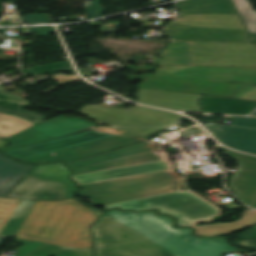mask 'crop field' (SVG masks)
Returning a JSON list of instances; mask_svg holds the SVG:
<instances>
[{
  "instance_id": "obj_1",
  "label": "crop field",
  "mask_w": 256,
  "mask_h": 256,
  "mask_svg": "<svg viewBox=\"0 0 256 256\" xmlns=\"http://www.w3.org/2000/svg\"><path fill=\"white\" fill-rule=\"evenodd\" d=\"M103 213L76 199L37 201L15 237L50 244L88 248L93 246L89 227Z\"/></svg>"
},
{
  "instance_id": "obj_2",
  "label": "crop field",
  "mask_w": 256,
  "mask_h": 256,
  "mask_svg": "<svg viewBox=\"0 0 256 256\" xmlns=\"http://www.w3.org/2000/svg\"><path fill=\"white\" fill-rule=\"evenodd\" d=\"M177 6L179 21L162 28L171 40L248 43L246 29L230 0H188Z\"/></svg>"
},
{
  "instance_id": "obj_3",
  "label": "crop field",
  "mask_w": 256,
  "mask_h": 256,
  "mask_svg": "<svg viewBox=\"0 0 256 256\" xmlns=\"http://www.w3.org/2000/svg\"><path fill=\"white\" fill-rule=\"evenodd\" d=\"M247 84H256V67L160 65L139 88L230 97Z\"/></svg>"
},
{
  "instance_id": "obj_4",
  "label": "crop field",
  "mask_w": 256,
  "mask_h": 256,
  "mask_svg": "<svg viewBox=\"0 0 256 256\" xmlns=\"http://www.w3.org/2000/svg\"><path fill=\"white\" fill-rule=\"evenodd\" d=\"M118 132H115V131ZM150 137L121 129H91L67 137L6 152L24 162H67L120 148Z\"/></svg>"
},
{
  "instance_id": "obj_5",
  "label": "crop field",
  "mask_w": 256,
  "mask_h": 256,
  "mask_svg": "<svg viewBox=\"0 0 256 256\" xmlns=\"http://www.w3.org/2000/svg\"><path fill=\"white\" fill-rule=\"evenodd\" d=\"M67 165V164H66ZM72 179L79 185L170 169L156 146L143 142L134 146L68 163Z\"/></svg>"
},
{
  "instance_id": "obj_6",
  "label": "crop field",
  "mask_w": 256,
  "mask_h": 256,
  "mask_svg": "<svg viewBox=\"0 0 256 256\" xmlns=\"http://www.w3.org/2000/svg\"><path fill=\"white\" fill-rule=\"evenodd\" d=\"M161 64L256 66V44L171 41Z\"/></svg>"
},
{
  "instance_id": "obj_7",
  "label": "crop field",
  "mask_w": 256,
  "mask_h": 256,
  "mask_svg": "<svg viewBox=\"0 0 256 256\" xmlns=\"http://www.w3.org/2000/svg\"><path fill=\"white\" fill-rule=\"evenodd\" d=\"M77 195L93 199L91 204H112L176 192L179 179L171 170L124 179L82 185Z\"/></svg>"
},
{
  "instance_id": "obj_8",
  "label": "crop field",
  "mask_w": 256,
  "mask_h": 256,
  "mask_svg": "<svg viewBox=\"0 0 256 256\" xmlns=\"http://www.w3.org/2000/svg\"><path fill=\"white\" fill-rule=\"evenodd\" d=\"M92 229L96 256H174L107 214Z\"/></svg>"
},
{
  "instance_id": "obj_9",
  "label": "crop field",
  "mask_w": 256,
  "mask_h": 256,
  "mask_svg": "<svg viewBox=\"0 0 256 256\" xmlns=\"http://www.w3.org/2000/svg\"><path fill=\"white\" fill-rule=\"evenodd\" d=\"M105 207L107 209L121 207L122 210L159 208L161 213L177 217L179 225L187 226H194L197 222H207L213 220V216L221 215L220 208L191 190L112 204Z\"/></svg>"
},
{
  "instance_id": "obj_10",
  "label": "crop field",
  "mask_w": 256,
  "mask_h": 256,
  "mask_svg": "<svg viewBox=\"0 0 256 256\" xmlns=\"http://www.w3.org/2000/svg\"><path fill=\"white\" fill-rule=\"evenodd\" d=\"M105 213L155 241L176 256H195L192 229L172 228L173 221L168 216H157L154 212L133 213L119 210Z\"/></svg>"
},
{
  "instance_id": "obj_11",
  "label": "crop field",
  "mask_w": 256,
  "mask_h": 256,
  "mask_svg": "<svg viewBox=\"0 0 256 256\" xmlns=\"http://www.w3.org/2000/svg\"><path fill=\"white\" fill-rule=\"evenodd\" d=\"M81 113L103 123L148 135L163 128L177 126L181 115L143 106L121 109L104 108L102 105H87Z\"/></svg>"
},
{
  "instance_id": "obj_12",
  "label": "crop field",
  "mask_w": 256,
  "mask_h": 256,
  "mask_svg": "<svg viewBox=\"0 0 256 256\" xmlns=\"http://www.w3.org/2000/svg\"><path fill=\"white\" fill-rule=\"evenodd\" d=\"M70 171L62 164L37 166L6 197L29 200H61L71 198L78 190L68 179Z\"/></svg>"
},
{
  "instance_id": "obj_13",
  "label": "crop field",
  "mask_w": 256,
  "mask_h": 256,
  "mask_svg": "<svg viewBox=\"0 0 256 256\" xmlns=\"http://www.w3.org/2000/svg\"><path fill=\"white\" fill-rule=\"evenodd\" d=\"M0 87V137L6 138L38 124L47 117L24 110L30 102Z\"/></svg>"
},
{
  "instance_id": "obj_14",
  "label": "crop field",
  "mask_w": 256,
  "mask_h": 256,
  "mask_svg": "<svg viewBox=\"0 0 256 256\" xmlns=\"http://www.w3.org/2000/svg\"><path fill=\"white\" fill-rule=\"evenodd\" d=\"M95 127V123L80 118H66L63 116L42 122L28 130H25L11 138L6 139L13 145L2 150H9L80 130Z\"/></svg>"
},
{
  "instance_id": "obj_15",
  "label": "crop field",
  "mask_w": 256,
  "mask_h": 256,
  "mask_svg": "<svg viewBox=\"0 0 256 256\" xmlns=\"http://www.w3.org/2000/svg\"><path fill=\"white\" fill-rule=\"evenodd\" d=\"M226 151V155L238 158L240 167L231 179V187L237 196L252 207L256 203V157L237 153L223 147H218Z\"/></svg>"
},
{
  "instance_id": "obj_16",
  "label": "crop field",
  "mask_w": 256,
  "mask_h": 256,
  "mask_svg": "<svg viewBox=\"0 0 256 256\" xmlns=\"http://www.w3.org/2000/svg\"><path fill=\"white\" fill-rule=\"evenodd\" d=\"M223 129L220 142L256 154V118L234 117L230 126L223 125Z\"/></svg>"
},
{
  "instance_id": "obj_17",
  "label": "crop field",
  "mask_w": 256,
  "mask_h": 256,
  "mask_svg": "<svg viewBox=\"0 0 256 256\" xmlns=\"http://www.w3.org/2000/svg\"><path fill=\"white\" fill-rule=\"evenodd\" d=\"M199 95L139 89L137 102L174 110L201 112L196 100Z\"/></svg>"
},
{
  "instance_id": "obj_18",
  "label": "crop field",
  "mask_w": 256,
  "mask_h": 256,
  "mask_svg": "<svg viewBox=\"0 0 256 256\" xmlns=\"http://www.w3.org/2000/svg\"><path fill=\"white\" fill-rule=\"evenodd\" d=\"M205 112L248 115L256 109V101L206 96L200 100Z\"/></svg>"
},
{
  "instance_id": "obj_19",
  "label": "crop field",
  "mask_w": 256,
  "mask_h": 256,
  "mask_svg": "<svg viewBox=\"0 0 256 256\" xmlns=\"http://www.w3.org/2000/svg\"><path fill=\"white\" fill-rule=\"evenodd\" d=\"M32 167L21 165L0 154V196H5Z\"/></svg>"
},
{
  "instance_id": "obj_20",
  "label": "crop field",
  "mask_w": 256,
  "mask_h": 256,
  "mask_svg": "<svg viewBox=\"0 0 256 256\" xmlns=\"http://www.w3.org/2000/svg\"><path fill=\"white\" fill-rule=\"evenodd\" d=\"M256 224V211L247 209L242 215L241 220L231 224L220 223L208 226H197L196 234L214 236L216 234L228 235Z\"/></svg>"
},
{
  "instance_id": "obj_21",
  "label": "crop field",
  "mask_w": 256,
  "mask_h": 256,
  "mask_svg": "<svg viewBox=\"0 0 256 256\" xmlns=\"http://www.w3.org/2000/svg\"><path fill=\"white\" fill-rule=\"evenodd\" d=\"M196 256H223V254L228 252L241 251L232 247L226 239L223 237L216 238H196Z\"/></svg>"
},
{
  "instance_id": "obj_22",
  "label": "crop field",
  "mask_w": 256,
  "mask_h": 256,
  "mask_svg": "<svg viewBox=\"0 0 256 256\" xmlns=\"http://www.w3.org/2000/svg\"><path fill=\"white\" fill-rule=\"evenodd\" d=\"M36 201L22 200L14 215L1 233L4 236H15L22 223L31 212ZM26 221V220H25ZM24 224V223H23ZM17 235V234H16Z\"/></svg>"
},
{
  "instance_id": "obj_23",
  "label": "crop field",
  "mask_w": 256,
  "mask_h": 256,
  "mask_svg": "<svg viewBox=\"0 0 256 256\" xmlns=\"http://www.w3.org/2000/svg\"><path fill=\"white\" fill-rule=\"evenodd\" d=\"M29 256H94L93 247L74 249L47 244Z\"/></svg>"
},
{
  "instance_id": "obj_24",
  "label": "crop field",
  "mask_w": 256,
  "mask_h": 256,
  "mask_svg": "<svg viewBox=\"0 0 256 256\" xmlns=\"http://www.w3.org/2000/svg\"><path fill=\"white\" fill-rule=\"evenodd\" d=\"M249 33H256V11L252 9L248 0H233Z\"/></svg>"
},
{
  "instance_id": "obj_25",
  "label": "crop field",
  "mask_w": 256,
  "mask_h": 256,
  "mask_svg": "<svg viewBox=\"0 0 256 256\" xmlns=\"http://www.w3.org/2000/svg\"><path fill=\"white\" fill-rule=\"evenodd\" d=\"M62 70L75 73L74 69L72 68V64L70 63L69 60L53 63L49 65H44V66L22 69V71L27 74H40V75H45V74L62 71Z\"/></svg>"
},
{
  "instance_id": "obj_26",
  "label": "crop field",
  "mask_w": 256,
  "mask_h": 256,
  "mask_svg": "<svg viewBox=\"0 0 256 256\" xmlns=\"http://www.w3.org/2000/svg\"><path fill=\"white\" fill-rule=\"evenodd\" d=\"M20 202L19 199L0 198V233Z\"/></svg>"
},
{
  "instance_id": "obj_27",
  "label": "crop field",
  "mask_w": 256,
  "mask_h": 256,
  "mask_svg": "<svg viewBox=\"0 0 256 256\" xmlns=\"http://www.w3.org/2000/svg\"><path fill=\"white\" fill-rule=\"evenodd\" d=\"M17 242L24 245L17 249L18 254L16 256H27L46 244L37 241L29 242L23 240H17Z\"/></svg>"
},
{
  "instance_id": "obj_28",
  "label": "crop field",
  "mask_w": 256,
  "mask_h": 256,
  "mask_svg": "<svg viewBox=\"0 0 256 256\" xmlns=\"http://www.w3.org/2000/svg\"><path fill=\"white\" fill-rule=\"evenodd\" d=\"M52 79H54L59 84H57V85H55V86H53V87H51L47 90L40 91L41 93H43V94L49 93V92H52V91L56 90L57 87L65 84V83L76 82V81L80 80V78L76 77V76H60V77H52Z\"/></svg>"
},
{
  "instance_id": "obj_29",
  "label": "crop field",
  "mask_w": 256,
  "mask_h": 256,
  "mask_svg": "<svg viewBox=\"0 0 256 256\" xmlns=\"http://www.w3.org/2000/svg\"><path fill=\"white\" fill-rule=\"evenodd\" d=\"M233 98L256 100V86H248Z\"/></svg>"
},
{
  "instance_id": "obj_30",
  "label": "crop field",
  "mask_w": 256,
  "mask_h": 256,
  "mask_svg": "<svg viewBox=\"0 0 256 256\" xmlns=\"http://www.w3.org/2000/svg\"><path fill=\"white\" fill-rule=\"evenodd\" d=\"M102 1L103 0H94V4L92 5L91 9H87V13L91 14L90 19L104 15L105 10L100 5Z\"/></svg>"
},
{
  "instance_id": "obj_31",
  "label": "crop field",
  "mask_w": 256,
  "mask_h": 256,
  "mask_svg": "<svg viewBox=\"0 0 256 256\" xmlns=\"http://www.w3.org/2000/svg\"><path fill=\"white\" fill-rule=\"evenodd\" d=\"M22 19H23V21L26 20V22H25L26 24L50 22L49 17H48L47 14L26 15ZM32 20H35L36 22H32Z\"/></svg>"
},
{
  "instance_id": "obj_32",
  "label": "crop field",
  "mask_w": 256,
  "mask_h": 256,
  "mask_svg": "<svg viewBox=\"0 0 256 256\" xmlns=\"http://www.w3.org/2000/svg\"><path fill=\"white\" fill-rule=\"evenodd\" d=\"M36 33H38V36H50V33H55L53 27H41V28H31Z\"/></svg>"
},
{
  "instance_id": "obj_33",
  "label": "crop field",
  "mask_w": 256,
  "mask_h": 256,
  "mask_svg": "<svg viewBox=\"0 0 256 256\" xmlns=\"http://www.w3.org/2000/svg\"><path fill=\"white\" fill-rule=\"evenodd\" d=\"M256 238V226L249 229L247 232L243 233L240 236L241 240H245V239H254Z\"/></svg>"
},
{
  "instance_id": "obj_34",
  "label": "crop field",
  "mask_w": 256,
  "mask_h": 256,
  "mask_svg": "<svg viewBox=\"0 0 256 256\" xmlns=\"http://www.w3.org/2000/svg\"><path fill=\"white\" fill-rule=\"evenodd\" d=\"M239 245L256 249V240L239 241Z\"/></svg>"
},
{
  "instance_id": "obj_35",
  "label": "crop field",
  "mask_w": 256,
  "mask_h": 256,
  "mask_svg": "<svg viewBox=\"0 0 256 256\" xmlns=\"http://www.w3.org/2000/svg\"><path fill=\"white\" fill-rule=\"evenodd\" d=\"M0 40H5V38L0 37ZM13 59H18V58L0 56V60H13Z\"/></svg>"
},
{
  "instance_id": "obj_36",
  "label": "crop field",
  "mask_w": 256,
  "mask_h": 256,
  "mask_svg": "<svg viewBox=\"0 0 256 256\" xmlns=\"http://www.w3.org/2000/svg\"><path fill=\"white\" fill-rule=\"evenodd\" d=\"M252 43H256V34H250Z\"/></svg>"
},
{
  "instance_id": "obj_37",
  "label": "crop field",
  "mask_w": 256,
  "mask_h": 256,
  "mask_svg": "<svg viewBox=\"0 0 256 256\" xmlns=\"http://www.w3.org/2000/svg\"><path fill=\"white\" fill-rule=\"evenodd\" d=\"M7 142L0 139V149L6 146Z\"/></svg>"
},
{
  "instance_id": "obj_38",
  "label": "crop field",
  "mask_w": 256,
  "mask_h": 256,
  "mask_svg": "<svg viewBox=\"0 0 256 256\" xmlns=\"http://www.w3.org/2000/svg\"><path fill=\"white\" fill-rule=\"evenodd\" d=\"M90 26H96V25H101V23L94 21L89 23Z\"/></svg>"
},
{
  "instance_id": "obj_39",
  "label": "crop field",
  "mask_w": 256,
  "mask_h": 256,
  "mask_svg": "<svg viewBox=\"0 0 256 256\" xmlns=\"http://www.w3.org/2000/svg\"><path fill=\"white\" fill-rule=\"evenodd\" d=\"M6 238L5 237H0V248L3 245V243L5 242Z\"/></svg>"
},
{
  "instance_id": "obj_40",
  "label": "crop field",
  "mask_w": 256,
  "mask_h": 256,
  "mask_svg": "<svg viewBox=\"0 0 256 256\" xmlns=\"http://www.w3.org/2000/svg\"><path fill=\"white\" fill-rule=\"evenodd\" d=\"M253 115H256V112Z\"/></svg>"
},
{
  "instance_id": "obj_41",
  "label": "crop field",
  "mask_w": 256,
  "mask_h": 256,
  "mask_svg": "<svg viewBox=\"0 0 256 256\" xmlns=\"http://www.w3.org/2000/svg\"><path fill=\"white\" fill-rule=\"evenodd\" d=\"M254 208H256V205H255V207Z\"/></svg>"
}]
</instances>
